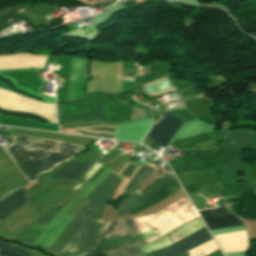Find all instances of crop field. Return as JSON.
Masks as SVG:
<instances>
[{"mask_svg": "<svg viewBox=\"0 0 256 256\" xmlns=\"http://www.w3.org/2000/svg\"><path fill=\"white\" fill-rule=\"evenodd\" d=\"M84 190V189H83ZM78 193L44 228L37 223H33L16 239L24 240L35 244L37 247L47 250L58 234L63 230L71 219L63 215L69 206L81 195Z\"/></svg>", "mask_w": 256, "mask_h": 256, "instance_id": "5", "label": "crop field"}, {"mask_svg": "<svg viewBox=\"0 0 256 256\" xmlns=\"http://www.w3.org/2000/svg\"><path fill=\"white\" fill-rule=\"evenodd\" d=\"M153 170V168L143 165L134 175L133 178L129 181L126 186L124 192L132 193L125 198H123L120 203V209L117 211L118 216H123L127 211L131 208L142 202L144 199L164 187L166 184L174 180L171 176L163 179L160 183L156 184L148 191H146L143 195L139 193L137 190L139 188V184L145 180V178L149 175V173Z\"/></svg>", "mask_w": 256, "mask_h": 256, "instance_id": "6", "label": "crop field"}, {"mask_svg": "<svg viewBox=\"0 0 256 256\" xmlns=\"http://www.w3.org/2000/svg\"><path fill=\"white\" fill-rule=\"evenodd\" d=\"M161 116L165 119L152 127L147 137L154 139L161 147H165L183 122L169 112Z\"/></svg>", "mask_w": 256, "mask_h": 256, "instance_id": "9", "label": "crop field"}, {"mask_svg": "<svg viewBox=\"0 0 256 256\" xmlns=\"http://www.w3.org/2000/svg\"><path fill=\"white\" fill-rule=\"evenodd\" d=\"M110 170L111 169L107 165H103L99 171L86 183V191L82 194L84 199Z\"/></svg>", "mask_w": 256, "mask_h": 256, "instance_id": "14", "label": "crop field"}, {"mask_svg": "<svg viewBox=\"0 0 256 256\" xmlns=\"http://www.w3.org/2000/svg\"><path fill=\"white\" fill-rule=\"evenodd\" d=\"M93 163L70 162L64 164L48 178L78 180Z\"/></svg>", "mask_w": 256, "mask_h": 256, "instance_id": "12", "label": "crop field"}, {"mask_svg": "<svg viewBox=\"0 0 256 256\" xmlns=\"http://www.w3.org/2000/svg\"><path fill=\"white\" fill-rule=\"evenodd\" d=\"M149 240L136 218L106 222L96 243V249L82 255L92 256L101 251L133 247Z\"/></svg>", "mask_w": 256, "mask_h": 256, "instance_id": "3", "label": "crop field"}, {"mask_svg": "<svg viewBox=\"0 0 256 256\" xmlns=\"http://www.w3.org/2000/svg\"><path fill=\"white\" fill-rule=\"evenodd\" d=\"M82 188H79L76 192H74L72 195H70L66 200H64L62 203L55 205L53 208H51L44 217L38 222L42 225H45L65 204L66 202L74 196L78 191H80ZM73 198V197H72Z\"/></svg>", "mask_w": 256, "mask_h": 256, "instance_id": "16", "label": "crop field"}, {"mask_svg": "<svg viewBox=\"0 0 256 256\" xmlns=\"http://www.w3.org/2000/svg\"><path fill=\"white\" fill-rule=\"evenodd\" d=\"M224 253L246 250V231H236L214 236Z\"/></svg>", "mask_w": 256, "mask_h": 256, "instance_id": "11", "label": "crop field"}, {"mask_svg": "<svg viewBox=\"0 0 256 256\" xmlns=\"http://www.w3.org/2000/svg\"><path fill=\"white\" fill-rule=\"evenodd\" d=\"M209 239L211 237L204 228L169 247L145 254V256H178Z\"/></svg>", "mask_w": 256, "mask_h": 256, "instance_id": "8", "label": "crop field"}, {"mask_svg": "<svg viewBox=\"0 0 256 256\" xmlns=\"http://www.w3.org/2000/svg\"><path fill=\"white\" fill-rule=\"evenodd\" d=\"M209 230L242 225L243 223L226 208H217L199 212Z\"/></svg>", "mask_w": 256, "mask_h": 256, "instance_id": "10", "label": "crop field"}, {"mask_svg": "<svg viewBox=\"0 0 256 256\" xmlns=\"http://www.w3.org/2000/svg\"><path fill=\"white\" fill-rule=\"evenodd\" d=\"M216 249H218V247L212 239V240L188 251V253L190 254L189 256H206Z\"/></svg>", "mask_w": 256, "mask_h": 256, "instance_id": "15", "label": "crop field"}, {"mask_svg": "<svg viewBox=\"0 0 256 256\" xmlns=\"http://www.w3.org/2000/svg\"><path fill=\"white\" fill-rule=\"evenodd\" d=\"M197 216L189 200L180 198L158 213L138 217L137 220L151 242Z\"/></svg>", "mask_w": 256, "mask_h": 256, "instance_id": "4", "label": "crop field"}, {"mask_svg": "<svg viewBox=\"0 0 256 256\" xmlns=\"http://www.w3.org/2000/svg\"><path fill=\"white\" fill-rule=\"evenodd\" d=\"M74 130L77 131L79 134H84V135L101 136V137H109V138H113V136H114L111 134L82 131V130H77V129H74Z\"/></svg>", "mask_w": 256, "mask_h": 256, "instance_id": "19", "label": "crop field"}, {"mask_svg": "<svg viewBox=\"0 0 256 256\" xmlns=\"http://www.w3.org/2000/svg\"><path fill=\"white\" fill-rule=\"evenodd\" d=\"M122 181L112 170L97 185L85 200L87 207L85 215L90 219H98L106 203L112 200L114 192Z\"/></svg>", "mask_w": 256, "mask_h": 256, "instance_id": "7", "label": "crop field"}, {"mask_svg": "<svg viewBox=\"0 0 256 256\" xmlns=\"http://www.w3.org/2000/svg\"><path fill=\"white\" fill-rule=\"evenodd\" d=\"M0 248L6 249L8 251H11L17 255H21V256H34L18 247H15L13 245H9V244H5V243H1L0 242Z\"/></svg>", "mask_w": 256, "mask_h": 256, "instance_id": "18", "label": "crop field"}, {"mask_svg": "<svg viewBox=\"0 0 256 256\" xmlns=\"http://www.w3.org/2000/svg\"><path fill=\"white\" fill-rule=\"evenodd\" d=\"M109 256H142L141 253H139L134 248H128V249H122L118 251H111V252H105Z\"/></svg>", "mask_w": 256, "mask_h": 256, "instance_id": "17", "label": "crop field"}, {"mask_svg": "<svg viewBox=\"0 0 256 256\" xmlns=\"http://www.w3.org/2000/svg\"><path fill=\"white\" fill-rule=\"evenodd\" d=\"M12 135L13 145L46 151L72 157L84 148L59 141L45 140L28 137L26 135ZM6 146V150L19 170L24 174L29 183L36 181L39 174L49 172L59 163L69 159L60 155L22 148L18 146Z\"/></svg>", "mask_w": 256, "mask_h": 256, "instance_id": "1", "label": "crop field"}, {"mask_svg": "<svg viewBox=\"0 0 256 256\" xmlns=\"http://www.w3.org/2000/svg\"><path fill=\"white\" fill-rule=\"evenodd\" d=\"M0 256H15L9 252H6V251H3V250H0Z\"/></svg>", "mask_w": 256, "mask_h": 256, "instance_id": "20", "label": "crop field"}, {"mask_svg": "<svg viewBox=\"0 0 256 256\" xmlns=\"http://www.w3.org/2000/svg\"><path fill=\"white\" fill-rule=\"evenodd\" d=\"M26 193L24 189L13 193L0 202V222L13 210L25 203Z\"/></svg>", "mask_w": 256, "mask_h": 256, "instance_id": "13", "label": "crop field"}, {"mask_svg": "<svg viewBox=\"0 0 256 256\" xmlns=\"http://www.w3.org/2000/svg\"><path fill=\"white\" fill-rule=\"evenodd\" d=\"M85 203L80 207L61 235L47 250L54 256H80L92 249L104 222L86 220Z\"/></svg>", "mask_w": 256, "mask_h": 256, "instance_id": "2", "label": "crop field"}]
</instances>
